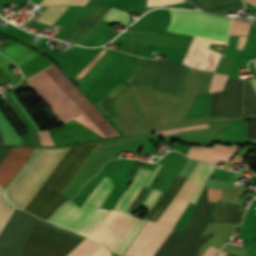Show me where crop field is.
<instances>
[{"label":"crop field","mask_w":256,"mask_h":256,"mask_svg":"<svg viewBox=\"0 0 256 256\" xmlns=\"http://www.w3.org/2000/svg\"><path fill=\"white\" fill-rule=\"evenodd\" d=\"M83 240L15 209L0 233V256H67Z\"/></svg>","instance_id":"1"},{"label":"crop field","mask_w":256,"mask_h":256,"mask_svg":"<svg viewBox=\"0 0 256 256\" xmlns=\"http://www.w3.org/2000/svg\"><path fill=\"white\" fill-rule=\"evenodd\" d=\"M27 79L63 123L73 118L103 137L118 134L54 65Z\"/></svg>","instance_id":"2"},{"label":"crop field","mask_w":256,"mask_h":256,"mask_svg":"<svg viewBox=\"0 0 256 256\" xmlns=\"http://www.w3.org/2000/svg\"><path fill=\"white\" fill-rule=\"evenodd\" d=\"M169 10L171 22L167 30L226 42L230 19L195 11ZM196 37L193 38L183 63L193 68L213 71L221 53L209 49L208 46L210 43L221 45L226 43Z\"/></svg>","instance_id":"3"},{"label":"crop field","mask_w":256,"mask_h":256,"mask_svg":"<svg viewBox=\"0 0 256 256\" xmlns=\"http://www.w3.org/2000/svg\"><path fill=\"white\" fill-rule=\"evenodd\" d=\"M99 142L72 146L25 211L47 220L64 202L70 200L61 193Z\"/></svg>","instance_id":"4"},{"label":"crop field","mask_w":256,"mask_h":256,"mask_svg":"<svg viewBox=\"0 0 256 256\" xmlns=\"http://www.w3.org/2000/svg\"><path fill=\"white\" fill-rule=\"evenodd\" d=\"M69 148L36 149L5 189L8 200L24 210Z\"/></svg>","instance_id":"5"},{"label":"crop field","mask_w":256,"mask_h":256,"mask_svg":"<svg viewBox=\"0 0 256 256\" xmlns=\"http://www.w3.org/2000/svg\"><path fill=\"white\" fill-rule=\"evenodd\" d=\"M196 186L197 183L185 180L159 220L156 223L147 220L124 255L152 256L169 236L177 218L188 205L187 201Z\"/></svg>","instance_id":"6"},{"label":"crop field","mask_w":256,"mask_h":256,"mask_svg":"<svg viewBox=\"0 0 256 256\" xmlns=\"http://www.w3.org/2000/svg\"><path fill=\"white\" fill-rule=\"evenodd\" d=\"M207 189L200 196L197 207L182 233L174 230L155 256H185L197 241L209 220Z\"/></svg>","instance_id":"7"},{"label":"crop field","mask_w":256,"mask_h":256,"mask_svg":"<svg viewBox=\"0 0 256 256\" xmlns=\"http://www.w3.org/2000/svg\"><path fill=\"white\" fill-rule=\"evenodd\" d=\"M243 80L228 79L224 91L210 94L209 121L242 118Z\"/></svg>","instance_id":"8"},{"label":"crop field","mask_w":256,"mask_h":256,"mask_svg":"<svg viewBox=\"0 0 256 256\" xmlns=\"http://www.w3.org/2000/svg\"><path fill=\"white\" fill-rule=\"evenodd\" d=\"M114 184L108 177H104L95 188L88 200L81 208L89 212L85 217L71 230L77 234L87 237L92 229L103 219L109 210L100 208Z\"/></svg>","instance_id":"9"},{"label":"crop field","mask_w":256,"mask_h":256,"mask_svg":"<svg viewBox=\"0 0 256 256\" xmlns=\"http://www.w3.org/2000/svg\"><path fill=\"white\" fill-rule=\"evenodd\" d=\"M136 217L111 209L88 237L106 244L111 250Z\"/></svg>","instance_id":"10"},{"label":"crop field","mask_w":256,"mask_h":256,"mask_svg":"<svg viewBox=\"0 0 256 256\" xmlns=\"http://www.w3.org/2000/svg\"><path fill=\"white\" fill-rule=\"evenodd\" d=\"M12 147H0V163ZM35 148L13 147L0 164V186L4 189L22 167Z\"/></svg>","instance_id":"11"},{"label":"crop field","mask_w":256,"mask_h":256,"mask_svg":"<svg viewBox=\"0 0 256 256\" xmlns=\"http://www.w3.org/2000/svg\"><path fill=\"white\" fill-rule=\"evenodd\" d=\"M87 213L71 201L65 203L48 221L71 230Z\"/></svg>","instance_id":"12"},{"label":"crop field","mask_w":256,"mask_h":256,"mask_svg":"<svg viewBox=\"0 0 256 256\" xmlns=\"http://www.w3.org/2000/svg\"><path fill=\"white\" fill-rule=\"evenodd\" d=\"M240 208L241 206L239 205L210 203L209 222L239 224L243 214V212L240 211Z\"/></svg>","instance_id":"13"},{"label":"crop field","mask_w":256,"mask_h":256,"mask_svg":"<svg viewBox=\"0 0 256 256\" xmlns=\"http://www.w3.org/2000/svg\"><path fill=\"white\" fill-rule=\"evenodd\" d=\"M236 149L215 145L214 148L191 147L187 156L204 160L216 165L219 159L228 161Z\"/></svg>","instance_id":"14"},{"label":"crop field","mask_w":256,"mask_h":256,"mask_svg":"<svg viewBox=\"0 0 256 256\" xmlns=\"http://www.w3.org/2000/svg\"><path fill=\"white\" fill-rule=\"evenodd\" d=\"M151 171L139 168L134 181L130 184V186L127 188V190L124 192V194L119 199L117 205L115 208L125 211L127 206L130 204L131 200L133 199L136 192L139 190L140 186L145 184L147 178L149 177Z\"/></svg>","instance_id":"15"},{"label":"crop field","mask_w":256,"mask_h":256,"mask_svg":"<svg viewBox=\"0 0 256 256\" xmlns=\"http://www.w3.org/2000/svg\"><path fill=\"white\" fill-rule=\"evenodd\" d=\"M100 246L101 245L86 239L74 251H72L68 256H90ZM91 256H111V255H110V251L108 249L101 246Z\"/></svg>","instance_id":"16"},{"label":"crop field","mask_w":256,"mask_h":256,"mask_svg":"<svg viewBox=\"0 0 256 256\" xmlns=\"http://www.w3.org/2000/svg\"><path fill=\"white\" fill-rule=\"evenodd\" d=\"M213 166L206 165L204 163L198 162L190 176L188 177V180L195 181L200 183L199 186L197 187L196 191L194 192L193 196L189 200V202L195 203L201 189L203 187L204 181L206 177L209 175V173L212 171Z\"/></svg>","instance_id":"17"},{"label":"crop field","mask_w":256,"mask_h":256,"mask_svg":"<svg viewBox=\"0 0 256 256\" xmlns=\"http://www.w3.org/2000/svg\"><path fill=\"white\" fill-rule=\"evenodd\" d=\"M185 180L184 177L177 176L171 187L169 188L166 196L162 199L159 206L156 208V210L153 212V214L150 216V220H153L156 222L158 217L161 215V213L164 211V209L167 207V205L171 202V200L175 197L177 194L180 186L182 185L183 181Z\"/></svg>","instance_id":"18"},{"label":"crop field","mask_w":256,"mask_h":256,"mask_svg":"<svg viewBox=\"0 0 256 256\" xmlns=\"http://www.w3.org/2000/svg\"><path fill=\"white\" fill-rule=\"evenodd\" d=\"M145 222L144 219L137 218L129 227V229L126 231V233L123 235V237L119 240L116 247L113 249V252L122 255L128 244L131 242V240L134 238V236L139 231L142 224ZM130 245V244H129ZM128 248V247H127Z\"/></svg>","instance_id":"19"},{"label":"crop field","mask_w":256,"mask_h":256,"mask_svg":"<svg viewBox=\"0 0 256 256\" xmlns=\"http://www.w3.org/2000/svg\"><path fill=\"white\" fill-rule=\"evenodd\" d=\"M256 67V60L253 61ZM256 92V79H249ZM248 79H245V115H256V94Z\"/></svg>","instance_id":"20"},{"label":"crop field","mask_w":256,"mask_h":256,"mask_svg":"<svg viewBox=\"0 0 256 256\" xmlns=\"http://www.w3.org/2000/svg\"><path fill=\"white\" fill-rule=\"evenodd\" d=\"M67 7H47L37 21L52 25L53 22L66 10Z\"/></svg>","instance_id":"21"},{"label":"crop field","mask_w":256,"mask_h":256,"mask_svg":"<svg viewBox=\"0 0 256 256\" xmlns=\"http://www.w3.org/2000/svg\"><path fill=\"white\" fill-rule=\"evenodd\" d=\"M103 20L118 22L126 26L129 21V16L127 13L112 7L110 11L105 15Z\"/></svg>","instance_id":"22"},{"label":"crop field","mask_w":256,"mask_h":256,"mask_svg":"<svg viewBox=\"0 0 256 256\" xmlns=\"http://www.w3.org/2000/svg\"><path fill=\"white\" fill-rule=\"evenodd\" d=\"M13 206L7 201L4 190L0 188V229L13 210Z\"/></svg>","instance_id":"23"},{"label":"crop field","mask_w":256,"mask_h":256,"mask_svg":"<svg viewBox=\"0 0 256 256\" xmlns=\"http://www.w3.org/2000/svg\"><path fill=\"white\" fill-rule=\"evenodd\" d=\"M215 235L214 234H208L200 236L198 241L195 243V245L192 247V249L187 253L186 256H199L201 248Z\"/></svg>","instance_id":"24"},{"label":"crop field","mask_w":256,"mask_h":256,"mask_svg":"<svg viewBox=\"0 0 256 256\" xmlns=\"http://www.w3.org/2000/svg\"><path fill=\"white\" fill-rule=\"evenodd\" d=\"M249 24L240 22L238 20H232L231 29L229 35H247L249 30Z\"/></svg>","instance_id":"25"},{"label":"crop field","mask_w":256,"mask_h":256,"mask_svg":"<svg viewBox=\"0 0 256 256\" xmlns=\"http://www.w3.org/2000/svg\"><path fill=\"white\" fill-rule=\"evenodd\" d=\"M88 0H43L40 5L59 6V5H85Z\"/></svg>","instance_id":"26"},{"label":"crop field","mask_w":256,"mask_h":256,"mask_svg":"<svg viewBox=\"0 0 256 256\" xmlns=\"http://www.w3.org/2000/svg\"><path fill=\"white\" fill-rule=\"evenodd\" d=\"M226 77L227 76L225 75L214 73L210 87V93L223 90Z\"/></svg>","instance_id":"27"},{"label":"crop field","mask_w":256,"mask_h":256,"mask_svg":"<svg viewBox=\"0 0 256 256\" xmlns=\"http://www.w3.org/2000/svg\"><path fill=\"white\" fill-rule=\"evenodd\" d=\"M160 193L161 191L153 189L150 196L148 197L146 202L143 204V207L147 208L149 211V209L152 207V205L154 204V202L156 201Z\"/></svg>","instance_id":"28"},{"label":"crop field","mask_w":256,"mask_h":256,"mask_svg":"<svg viewBox=\"0 0 256 256\" xmlns=\"http://www.w3.org/2000/svg\"><path fill=\"white\" fill-rule=\"evenodd\" d=\"M185 0H148L147 6L166 5L178 2H184Z\"/></svg>","instance_id":"29"},{"label":"crop field","mask_w":256,"mask_h":256,"mask_svg":"<svg viewBox=\"0 0 256 256\" xmlns=\"http://www.w3.org/2000/svg\"><path fill=\"white\" fill-rule=\"evenodd\" d=\"M48 132L47 131L37 132L42 145H54Z\"/></svg>","instance_id":"30"},{"label":"crop field","mask_w":256,"mask_h":256,"mask_svg":"<svg viewBox=\"0 0 256 256\" xmlns=\"http://www.w3.org/2000/svg\"><path fill=\"white\" fill-rule=\"evenodd\" d=\"M217 252H218V249L210 246L203 256H215Z\"/></svg>","instance_id":"31"},{"label":"crop field","mask_w":256,"mask_h":256,"mask_svg":"<svg viewBox=\"0 0 256 256\" xmlns=\"http://www.w3.org/2000/svg\"><path fill=\"white\" fill-rule=\"evenodd\" d=\"M245 39H246V36H240V37H239V41H238V44H237V48H236V49L242 50L243 44H244V42H245Z\"/></svg>","instance_id":"32"},{"label":"crop field","mask_w":256,"mask_h":256,"mask_svg":"<svg viewBox=\"0 0 256 256\" xmlns=\"http://www.w3.org/2000/svg\"><path fill=\"white\" fill-rule=\"evenodd\" d=\"M161 164L159 163L156 170L154 171L153 175L151 176V178L149 179L148 183L146 184L147 187H149L153 177L155 176V174L158 172L159 168H160Z\"/></svg>","instance_id":"33"},{"label":"crop field","mask_w":256,"mask_h":256,"mask_svg":"<svg viewBox=\"0 0 256 256\" xmlns=\"http://www.w3.org/2000/svg\"><path fill=\"white\" fill-rule=\"evenodd\" d=\"M245 1H248V2H250V3L254 4V5H256V0H245Z\"/></svg>","instance_id":"34"},{"label":"crop field","mask_w":256,"mask_h":256,"mask_svg":"<svg viewBox=\"0 0 256 256\" xmlns=\"http://www.w3.org/2000/svg\"><path fill=\"white\" fill-rule=\"evenodd\" d=\"M0 144H3L2 134L0 132Z\"/></svg>","instance_id":"35"},{"label":"crop field","mask_w":256,"mask_h":256,"mask_svg":"<svg viewBox=\"0 0 256 256\" xmlns=\"http://www.w3.org/2000/svg\"><path fill=\"white\" fill-rule=\"evenodd\" d=\"M219 256H226V253H224V252H220V254H219Z\"/></svg>","instance_id":"36"},{"label":"crop field","mask_w":256,"mask_h":256,"mask_svg":"<svg viewBox=\"0 0 256 256\" xmlns=\"http://www.w3.org/2000/svg\"><path fill=\"white\" fill-rule=\"evenodd\" d=\"M227 256H234V255L227 254Z\"/></svg>","instance_id":"37"},{"label":"crop field","mask_w":256,"mask_h":256,"mask_svg":"<svg viewBox=\"0 0 256 256\" xmlns=\"http://www.w3.org/2000/svg\"><path fill=\"white\" fill-rule=\"evenodd\" d=\"M158 132V131H157Z\"/></svg>","instance_id":"38"}]
</instances>
